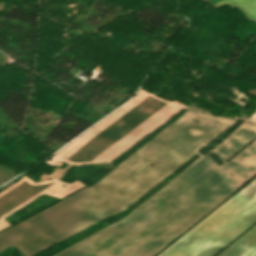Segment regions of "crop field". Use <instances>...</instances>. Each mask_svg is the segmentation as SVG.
Segmentation results:
<instances>
[{"label": "crop field", "instance_id": "obj_1", "mask_svg": "<svg viewBox=\"0 0 256 256\" xmlns=\"http://www.w3.org/2000/svg\"><path fill=\"white\" fill-rule=\"evenodd\" d=\"M235 121L193 107L96 184L0 234L32 256L130 206Z\"/></svg>", "mask_w": 256, "mask_h": 256}, {"label": "crop field", "instance_id": "obj_3", "mask_svg": "<svg viewBox=\"0 0 256 256\" xmlns=\"http://www.w3.org/2000/svg\"><path fill=\"white\" fill-rule=\"evenodd\" d=\"M255 221L256 179L159 256H213ZM217 256H256V225Z\"/></svg>", "mask_w": 256, "mask_h": 256}, {"label": "crop field", "instance_id": "obj_2", "mask_svg": "<svg viewBox=\"0 0 256 256\" xmlns=\"http://www.w3.org/2000/svg\"><path fill=\"white\" fill-rule=\"evenodd\" d=\"M256 124L246 120L122 220L54 256H154L254 175ZM211 152V151H210ZM233 174V176L230 175Z\"/></svg>", "mask_w": 256, "mask_h": 256}, {"label": "crop field", "instance_id": "obj_4", "mask_svg": "<svg viewBox=\"0 0 256 256\" xmlns=\"http://www.w3.org/2000/svg\"><path fill=\"white\" fill-rule=\"evenodd\" d=\"M230 2L234 3L254 21L256 20V0H223L215 5L219 7Z\"/></svg>", "mask_w": 256, "mask_h": 256}]
</instances>
